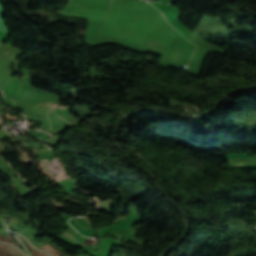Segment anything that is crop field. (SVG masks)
<instances>
[{
  "label": "crop field",
  "mask_w": 256,
  "mask_h": 256,
  "mask_svg": "<svg viewBox=\"0 0 256 256\" xmlns=\"http://www.w3.org/2000/svg\"><path fill=\"white\" fill-rule=\"evenodd\" d=\"M248 160H256V159H252V158H235V159H228L229 162L248 161Z\"/></svg>",
  "instance_id": "obj_1"
},
{
  "label": "crop field",
  "mask_w": 256,
  "mask_h": 256,
  "mask_svg": "<svg viewBox=\"0 0 256 256\" xmlns=\"http://www.w3.org/2000/svg\"><path fill=\"white\" fill-rule=\"evenodd\" d=\"M246 164H256L255 162H238V163H230L231 166H236V165H246Z\"/></svg>",
  "instance_id": "obj_2"
}]
</instances>
